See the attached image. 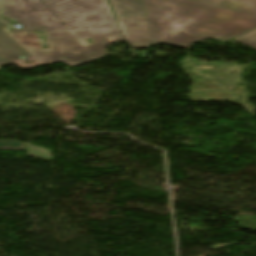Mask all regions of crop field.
<instances>
[{"label": "crop field", "mask_w": 256, "mask_h": 256, "mask_svg": "<svg viewBox=\"0 0 256 256\" xmlns=\"http://www.w3.org/2000/svg\"><path fill=\"white\" fill-rule=\"evenodd\" d=\"M2 15L21 23L23 29L12 32L47 35L50 48L28 50L37 59L18 63L23 69L56 61L71 66L91 62L108 44L124 41L107 0H2ZM109 36L118 38L109 42Z\"/></svg>", "instance_id": "1"}, {"label": "crop field", "mask_w": 256, "mask_h": 256, "mask_svg": "<svg viewBox=\"0 0 256 256\" xmlns=\"http://www.w3.org/2000/svg\"><path fill=\"white\" fill-rule=\"evenodd\" d=\"M151 45L187 49L205 38L227 40L256 27V0H142Z\"/></svg>", "instance_id": "2"}, {"label": "crop field", "mask_w": 256, "mask_h": 256, "mask_svg": "<svg viewBox=\"0 0 256 256\" xmlns=\"http://www.w3.org/2000/svg\"><path fill=\"white\" fill-rule=\"evenodd\" d=\"M128 45L145 48L150 45L146 16L117 18Z\"/></svg>", "instance_id": "3"}, {"label": "crop field", "mask_w": 256, "mask_h": 256, "mask_svg": "<svg viewBox=\"0 0 256 256\" xmlns=\"http://www.w3.org/2000/svg\"><path fill=\"white\" fill-rule=\"evenodd\" d=\"M4 27L5 23L0 21V66L34 59L33 55L3 31Z\"/></svg>", "instance_id": "4"}, {"label": "crop field", "mask_w": 256, "mask_h": 256, "mask_svg": "<svg viewBox=\"0 0 256 256\" xmlns=\"http://www.w3.org/2000/svg\"><path fill=\"white\" fill-rule=\"evenodd\" d=\"M116 17L145 15L141 0H110Z\"/></svg>", "instance_id": "5"}, {"label": "crop field", "mask_w": 256, "mask_h": 256, "mask_svg": "<svg viewBox=\"0 0 256 256\" xmlns=\"http://www.w3.org/2000/svg\"><path fill=\"white\" fill-rule=\"evenodd\" d=\"M237 42L256 50V30L236 37Z\"/></svg>", "instance_id": "6"}, {"label": "crop field", "mask_w": 256, "mask_h": 256, "mask_svg": "<svg viewBox=\"0 0 256 256\" xmlns=\"http://www.w3.org/2000/svg\"><path fill=\"white\" fill-rule=\"evenodd\" d=\"M0 149L2 150H25V144L19 141L0 140Z\"/></svg>", "instance_id": "7"}, {"label": "crop field", "mask_w": 256, "mask_h": 256, "mask_svg": "<svg viewBox=\"0 0 256 256\" xmlns=\"http://www.w3.org/2000/svg\"><path fill=\"white\" fill-rule=\"evenodd\" d=\"M0 70H1V68H0Z\"/></svg>", "instance_id": "8"}]
</instances>
